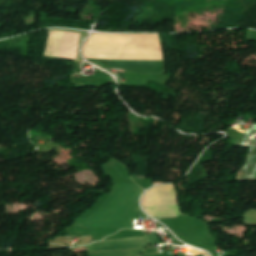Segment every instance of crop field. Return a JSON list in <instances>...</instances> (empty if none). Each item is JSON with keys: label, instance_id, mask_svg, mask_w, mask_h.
<instances>
[{"label": "crop field", "instance_id": "obj_1", "mask_svg": "<svg viewBox=\"0 0 256 256\" xmlns=\"http://www.w3.org/2000/svg\"><path fill=\"white\" fill-rule=\"evenodd\" d=\"M85 32L50 30L45 56L74 60Z\"/></svg>", "mask_w": 256, "mask_h": 256}]
</instances>
